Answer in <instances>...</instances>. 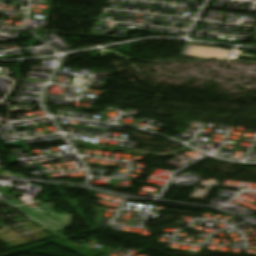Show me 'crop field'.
<instances>
[{"label": "crop field", "instance_id": "1", "mask_svg": "<svg viewBox=\"0 0 256 256\" xmlns=\"http://www.w3.org/2000/svg\"><path fill=\"white\" fill-rule=\"evenodd\" d=\"M35 201L42 207V209L50 217L44 215L43 213L39 212L38 210L28 205L18 207V209L28 214L29 216L37 219L38 221H40L41 223H43L44 225H46L47 227H49L50 229L56 232L62 231L65 228L71 226V218H73L74 216L66 215V214H63V215L56 214L51 209V207L54 206L52 203L45 204L37 199H35Z\"/></svg>", "mask_w": 256, "mask_h": 256}, {"label": "crop field", "instance_id": "2", "mask_svg": "<svg viewBox=\"0 0 256 256\" xmlns=\"http://www.w3.org/2000/svg\"><path fill=\"white\" fill-rule=\"evenodd\" d=\"M7 202H9L10 204H12L14 206L22 204L21 202L15 200V199L7 200Z\"/></svg>", "mask_w": 256, "mask_h": 256}, {"label": "crop field", "instance_id": "3", "mask_svg": "<svg viewBox=\"0 0 256 256\" xmlns=\"http://www.w3.org/2000/svg\"><path fill=\"white\" fill-rule=\"evenodd\" d=\"M2 174H4V175H11V176H17V177H23V178H25V176H21V175H14V174H12V173H10V172H6V171H4Z\"/></svg>", "mask_w": 256, "mask_h": 256}]
</instances>
